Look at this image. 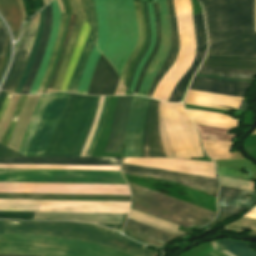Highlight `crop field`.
<instances>
[{
	"label": "crop field",
	"instance_id": "56",
	"mask_svg": "<svg viewBox=\"0 0 256 256\" xmlns=\"http://www.w3.org/2000/svg\"><path fill=\"white\" fill-rule=\"evenodd\" d=\"M246 217L256 218V206L252 208L246 215Z\"/></svg>",
	"mask_w": 256,
	"mask_h": 256
},
{
	"label": "crop field",
	"instance_id": "1",
	"mask_svg": "<svg viewBox=\"0 0 256 256\" xmlns=\"http://www.w3.org/2000/svg\"><path fill=\"white\" fill-rule=\"evenodd\" d=\"M209 37L207 55L256 56L254 0H202Z\"/></svg>",
	"mask_w": 256,
	"mask_h": 256
},
{
	"label": "crop field",
	"instance_id": "19",
	"mask_svg": "<svg viewBox=\"0 0 256 256\" xmlns=\"http://www.w3.org/2000/svg\"><path fill=\"white\" fill-rule=\"evenodd\" d=\"M256 202V193L229 187L220 188L218 206L219 211L236 215ZM247 207H239V206Z\"/></svg>",
	"mask_w": 256,
	"mask_h": 256
},
{
	"label": "crop field",
	"instance_id": "61",
	"mask_svg": "<svg viewBox=\"0 0 256 256\" xmlns=\"http://www.w3.org/2000/svg\"><path fill=\"white\" fill-rule=\"evenodd\" d=\"M0 256H14V255H0Z\"/></svg>",
	"mask_w": 256,
	"mask_h": 256
},
{
	"label": "crop field",
	"instance_id": "50",
	"mask_svg": "<svg viewBox=\"0 0 256 256\" xmlns=\"http://www.w3.org/2000/svg\"><path fill=\"white\" fill-rule=\"evenodd\" d=\"M2 157H25V156L0 144V158Z\"/></svg>",
	"mask_w": 256,
	"mask_h": 256
},
{
	"label": "crop field",
	"instance_id": "57",
	"mask_svg": "<svg viewBox=\"0 0 256 256\" xmlns=\"http://www.w3.org/2000/svg\"><path fill=\"white\" fill-rule=\"evenodd\" d=\"M21 97H22V96H20V98H19L18 104H17L16 109H15V111H14V114H13V116H12L11 122H10L9 127H8V129H7L6 133H5V135H4L3 139H2V141H1V144L3 143L5 137H6L7 133H8V130H9V128H10V125H11V123H12V120H13V118H14V115H15V113H16V110H17V108H18V105H19V102H20V100H21Z\"/></svg>",
	"mask_w": 256,
	"mask_h": 256
},
{
	"label": "crop field",
	"instance_id": "23",
	"mask_svg": "<svg viewBox=\"0 0 256 256\" xmlns=\"http://www.w3.org/2000/svg\"><path fill=\"white\" fill-rule=\"evenodd\" d=\"M50 28H51V4L46 7L45 25H44V29H43L42 38L40 40L39 49L36 54L35 60L33 62L29 77H28L20 94H28L30 91L33 80L35 78V75L37 73V70H38L41 60H42V56H43V53H44V50H45V47H46V44L48 41Z\"/></svg>",
	"mask_w": 256,
	"mask_h": 256
},
{
	"label": "crop field",
	"instance_id": "59",
	"mask_svg": "<svg viewBox=\"0 0 256 256\" xmlns=\"http://www.w3.org/2000/svg\"><path fill=\"white\" fill-rule=\"evenodd\" d=\"M5 94H6V93H4V92H0V107H1V105H2V102H3V99H4V97H5Z\"/></svg>",
	"mask_w": 256,
	"mask_h": 256
},
{
	"label": "crop field",
	"instance_id": "6",
	"mask_svg": "<svg viewBox=\"0 0 256 256\" xmlns=\"http://www.w3.org/2000/svg\"><path fill=\"white\" fill-rule=\"evenodd\" d=\"M133 195L132 208L173 222L183 227L203 226L216 213L128 183Z\"/></svg>",
	"mask_w": 256,
	"mask_h": 256
},
{
	"label": "crop field",
	"instance_id": "35",
	"mask_svg": "<svg viewBox=\"0 0 256 256\" xmlns=\"http://www.w3.org/2000/svg\"><path fill=\"white\" fill-rule=\"evenodd\" d=\"M219 248H225L236 256H256V252L249 249V243L231 240H217Z\"/></svg>",
	"mask_w": 256,
	"mask_h": 256
},
{
	"label": "crop field",
	"instance_id": "13",
	"mask_svg": "<svg viewBox=\"0 0 256 256\" xmlns=\"http://www.w3.org/2000/svg\"><path fill=\"white\" fill-rule=\"evenodd\" d=\"M161 25V43L158 52L155 54L149 65L142 84L137 94L146 95L156 73L160 69L170 48L169 18L166 0H158Z\"/></svg>",
	"mask_w": 256,
	"mask_h": 256
},
{
	"label": "crop field",
	"instance_id": "58",
	"mask_svg": "<svg viewBox=\"0 0 256 256\" xmlns=\"http://www.w3.org/2000/svg\"><path fill=\"white\" fill-rule=\"evenodd\" d=\"M151 100V99H150ZM149 100V103H150ZM149 103H148V107H149ZM148 107H147V111H146V115H145V119H144V127H143V139H142V157H143V141H144V133H145V125H146V119H147V112H148Z\"/></svg>",
	"mask_w": 256,
	"mask_h": 256
},
{
	"label": "crop field",
	"instance_id": "4",
	"mask_svg": "<svg viewBox=\"0 0 256 256\" xmlns=\"http://www.w3.org/2000/svg\"><path fill=\"white\" fill-rule=\"evenodd\" d=\"M0 254L34 256H137L113 248L50 236L0 234Z\"/></svg>",
	"mask_w": 256,
	"mask_h": 256
},
{
	"label": "crop field",
	"instance_id": "2",
	"mask_svg": "<svg viewBox=\"0 0 256 256\" xmlns=\"http://www.w3.org/2000/svg\"><path fill=\"white\" fill-rule=\"evenodd\" d=\"M100 96L69 94L44 156H79L94 121Z\"/></svg>",
	"mask_w": 256,
	"mask_h": 256
},
{
	"label": "crop field",
	"instance_id": "39",
	"mask_svg": "<svg viewBox=\"0 0 256 256\" xmlns=\"http://www.w3.org/2000/svg\"><path fill=\"white\" fill-rule=\"evenodd\" d=\"M152 5H153L154 17H155L156 43H155V47H154V50H153L152 54L147 59L145 65H144V67H143V69L141 71V74H140L137 86H136V88L134 90V93H137L138 88H139V86L141 84L142 78L144 76V73H145V71H146V69H147L151 59L153 58L154 54L157 52L158 47H159V43H160V26H159L158 7H157V3H152Z\"/></svg>",
	"mask_w": 256,
	"mask_h": 256
},
{
	"label": "crop field",
	"instance_id": "9",
	"mask_svg": "<svg viewBox=\"0 0 256 256\" xmlns=\"http://www.w3.org/2000/svg\"><path fill=\"white\" fill-rule=\"evenodd\" d=\"M33 212H0V219H32ZM124 214H102V213H56V212H34L33 219L49 220H74L88 223L120 224ZM124 215L121 225L98 224L113 229H121L126 219Z\"/></svg>",
	"mask_w": 256,
	"mask_h": 256
},
{
	"label": "crop field",
	"instance_id": "8",
	"mask_svg": "<svg viewBox=\"0 0 256 256\" xmlns=\"http://www.w3.org/2000/svg\"><path fill=\"white\" fill-rule=\"evenodd\" d=\"M126 181L217 213L216 198L176 183L124 175Z\"/></svg>",
	"mask_w": 256,
	"mask_h": 256
},
{
	"label": "crop field",
	"instance_id": "33",
	"mask_svg": "<svg viewBox=\"0 0 256 256\" xmlns=\"http://www.w3.org/2000/svg\"><path fill=\"white\" fill-rule=\"evenodd\" d=\"M95 7L98 20V40L96 45L98 46L100 52H102L108 34V24L104 0H95Z\"/></svg>",
	"mask_w": 256,
	"mask_h": 256
},
{
	"label": "crop field",
	"instance_id": "54",
	"mask_svg": "<svg viewBox=\"0 0 256 256\" xmlns=\"http://www.w3.org/2000/svg\"><path fill=\"white\" fill-rule=\"evenodd\" d=\"M10 95H11V94H9V93L6 94L5 100H4L3 105H2V108H1V110H0V119H1V117H2V115H3V113H4L5 109H6V107H7V105H8Z\"/></svg>",
	"mask_w": 256,
	"mask_h": 256
},
{
	"label": "crop field",
	"instance_id": "31",
	"mask_svg": "<svg viewBox=\"0 0 256 256\" xmlns=\"http://www.w3.org/2000/svg\"><path fill=\"white\" fill-rule=\"evenodd\" d=\"M128 217L132 218L134 220L143 222L145 224L154 226L156 228L162 229L164 231L173 233V234L178 235V236H181V235L185 234L183 232H180V231L176 230L177 225H174V224H171L169 222L154 218L152 216L140 213V212L132 210V209L130 210V213H129Z\"/></svg>",
	"mask_w": 256,
	"mask_h": 256
},
{
	"label": "crop field",
	"instance_id": "21",
	"mask_svg": "<svg viewBox=\"0 0 256 256\" xmlns=\"http://www.w3.org/2000/svg\"><path fill=\"white\" fill-rule=\"evenodd\" d=\"M0 199L130 201V196L0 194Z\"/></svg>",
	"mask_w": 256,
	"mask_h": 256
},
{
	"label": "crop field",
	"instance_id": "38",
	"mask_svg": "<svg viewBox=\"0 0 256 256\" xmlns=\"http://www.w3.org/2000/svg\"><path fill=\"white\" fill-rule=\"evenodd\" d=\"M75 15L76 14H71V16H70V20H69V24H68V28H67V32H66V36H65V40H64V44H63L62 50L60 52L59 59H58V62H57L54 74H53V76L51 78V81H50V83H49V85L47 87V91L46 92H50L51 91V89L53 87V84L55 82V79H56V77L58 75V72H59V69H60V66H61L64 54H65V51H66V48H67V44L69 42L70 35L72 33Z\"/></svg>",
	"mask_w": 256,
	"mask_h": 256
},
{
	"label": "crop field",
	"instance_id": "51",
	"mask_svg": "<svg viewBox=\"0 0 256 256\" xmlns=\"http://www.w3.org/2000/svg\"><path fill=\"white\" fill-rule=\"evenodd\" d=\"M144 5H145V12H146V18H147V23H148V28H149V20H148V10H147V5H146V2L144 1ZM149 41H150V30H149V40H148V43H147V47L145 49V51L148 49V46H149ZM145 51L143 52V54L141 55L140 59L138 60V62L136 63L135 67H134V70H133V73H132V76L130 78V81H129V85H130V82L132 80V77H133V74H134V71L137 67V65L139 64V62L141 61ZM129 85H128V88H129Z\"/></svg>",
	"mask_w": 256,
	"mask_h": 256
},
{
	"label": "crop field",
	"instance_id": "18",
	"mask_svg": "<svg viewBox=\"0 0 256 256\" xmlns=\"http://www.w3.org/2000/svg\"><path fill=\"white\" fill-rule=\"evenodd\" d=\"M250 86L251 84L249 83L213 79L196 75L189 88L224 95L244 97Z\"/></svg>",
	"mask_w": 256,
	"mask_h": 256
},
{
	"label": "crop field",
	"instance_id": "26",
	"mask_svg": "<svg viewBox=\"0 0 256 256\" xmlns=\"http://www.w3.org/2000/svg\"><path fill=\"white\" fill-rule=\"evenodd\" d=\"M0 12L9 24L16 40L21 26V10L17 0H0Z\"/></svg>",
	"mask_w": 256,
	"mask_h": 256
},
{
	"label": "crop field",
	"instance_id": "32",
	"mask_svg": "<svg viewBox=\"0 0 256 256\" xmlns=\"http://www.w3.org/2000/svg\"><path fill=\"white\" fill-rule=\"evenodd\" d=\"M158 101L155 102L150 127V157H166L163 151L157 118Z\"/></svg>",
	"mask_w": 256,
	"mask_h": 256
},
{
	"label": "crop field",
	"instance_id": "10",
	"mask_svg": "<svg viewBox=\"0 0 256 256\" xmlns=\"http://www.w3.org/2000/svg\"><path fill=\"white\" fill-rule=\"evenodd\" d=\"M38 18L39 13L25 23L21 41L16 43L15 57L2 90L15 92L33 46Z\"/></svg>",
	"mask_w": 256,
	"mask_h": 256
},
{
	"label": "crop field",
	"instance_id": "34",
	"mask_svg": "<svg viewBox=\"0 0 256 256\" xmlns=\"http://www.w3.org/2000/svg\"><path fill=\"white\" fill-rule=\"evenodd\" d=\"M100 52L97 50L96 45L94 47V49L92 50L88 62L85 66L83 75H82V79L79 85V89H78V94H86L87 93V89H88V85H89V81L91 78V74L92 71L96 65V62L100 56Z\"/></svg>",
	"mask_w": 256,
	"mask_h": 256
},
{
	"label": "crop field",
	"instance_id": "36",
	"mask_svg": "<svg viewBox=\"0 0 256 256\" xmlns=\"http://www.w3.org/2000/svg\"><path fill=\"white\" fill-rule=\"evenodd\" d=\"M44 16H45V9L40 11L39 27H38L37 35H36V38H35L34 46H33L32 52L30 54L27 67H26V69L24 71V74H23V76L21 78V81H20V83L18 85V88H17L15 93H19L20 92V90H21V88H22V86H23V84H24V82H25V80H26V78H27V76L29 74L32 62L34 60L35 54H36L37 49H38L39 40L41 38L43 24H44Z\"/></svg>",
	"mask_w": 256,
	"mask_h": 256
},
{
	"label": "crop field",
	"instance_id": "30",
	"mask_svg": "<svg viewBox=\"0 0 256 256\" xmlns=\"http://www.w3.org/2000/svg\"><path fill=\"white\" fill-rule=\"evenodd\" d=\"M124 227L165 242H168L178 237L129 218L127 219Z\"/></svg>",
	"mask_w": 256,
	"mask_h": 256
},
{
	"label": "crop field",
	"instance_id": "40",
	"mask_svg": "<svg viewBox=\"0 0 256 256\" xmlns=\"http://www.w3.org/2000/svg\"><path fill=\"white\" fill-rule=\"evenodd\" d=\"M66 16H67V14H63V13H62L61 23H60V27H59V31H58L57 41H56V44H55V46H54V49H53V52H52V55H51V58H50V62H49V65H48L47 72H46V74H45V76H44V79H43V81H42V84H41V86H40V87H42V88L45 87V84H46L47 78H48V76H49V73H50V70H51V67H52L54 58H55V56H56V53H57L59 44H60V42H61V38H62L63 30H64V25H65V21H66Z\"/></svg>",
	"mask_w": 256,
	"mask_h": 256
},
{
	"label": "crop field",
	"instance_id": "20",
	"mask_svg": "<svg viewBox=\"0 0 256 256\" xmlns=\"http://www.w3.org/2000/svg\"><path fill=\"white\" fill-rule=\"evenodd\" d=\"M168 2V8H169V17H170V32H171V48L169 51V54L162 65L161 69L159 70L158 74L156 75L153 84L147 94V97H151L153 91L155 90L159 80L164 76V74L170 69V67L175 62L179 48H180V42H179V34H178V27L177 22L175 18V10H174V2L173 0H167Z\"/></svg>",
	"mask_w": 256,
	"mask_h": 256
},
{
	"label": "crop field",
	"instance_id": "11",
	"mask_svg": "<svg viewBox=\"0 0 256 256\" xmlns=\"http://www.w3.org/2000/svg\"><path fill=\"white\" fill-rule=\"evenodd\" d=\"M122 172L172 180L195 189L216 192L217 179L122 163Z\"/></svg>",
	"mask_w": 256,
	"mask_h": 256
},
{
	"label": "crop field",
	"instance_id": "27",
	"mask_svg": "<svg viewBox=\"0 0 256 256\" xmlns=\"http://www.w3.org/2000/svg\"><path fill=\"white\" fill-rule=\"evenodd\" d=\"M95 45V35L93 33V31L91 30L87 41L85 43V46L82 50V53L80 55L79 61L77 63L76 69L74 71L72 80L70 82L69 88H68V92H77V88L80 82V78L84 69V66L87 62L88 56L91 52V50L93 49Z\"/></svg>",
	"mask_w": 256,
	"mask_h": 256
},
{
	"label": "crop field",
	"instance_id": "44",
	"mask_svg": "<svg viewBox=\"0 0 256 256\" xmlns=\"http://www.w3.org/2000/svg\"><path fill=\"white\" fill-rule=\"evenodd\" d=\"M85 6L88 22L97 35V20L94 8V0H85Z\"/></svg>",
	"mask_w": 256,
	"mask_h": 256
},
{
	"label": "crop field",
	"instance_id": "7",
	"mask_svg": "<svg viewBox=\"0 0 256 256\" xmlns=\"http://www.w3.org/2000/svg\"><path fill=\"white\" fill-rule=\"evenodd\" d=\"M0 193L130 195L127 185L0 183Z\"/></svg>",
	"mask_w": 256,
	"mask_h": 256
},
{
	"label": "crop field",
	"instance_id": "14",
	"mask_svg": "<svg viewBox=\"0 0 256 256\" xmlns=\"http://www.w3.org/2000/svg\"><path fill=\"white\" fill-rule=\"evenodd\" d=\"M121 160L122 158H115V157L2 158L0 159V164L120 166Z\"/></svg>",
	"mask_w": 256,
	"mask_h": 256
},
{
	"label": "crop field",
	"instance_id": "29",
	"mask_svg": "<svg viewBox=\"0 0 256 256\" xmlns=\"http://www.w3.org/2000/svg\"><path fill=\"white\" fill-rule=\"evenodd\" d=\"M135 3V11H136V17H137V24H138V31H139V41L135 47V49L133 50V52L131 53L123 71L122 74L120 76V78L123 80V82L125 83L128 71L133 63V61L135 60V58L137 57L140 49L142 48L144 41H145V31H144V23H143V16H142V11H141V4H140V0H134Z\"/></svg>",
	"mask_w": 256,
	"mask_h": 256
},
{
	"label": "crop field",
	"instance_id": "52",
	"mask_svg": "<svg viewBox=\"0 0 256 256\" xmlns=\"http://www.w3.org/2000/svg\"><path fill=\"white\" fill-rule=\"evenodd\" d=\"M6 35H7V31H6L5 27L2 25V23L0 22V56L2 53Z\"/></svg>",
	"mask_w": 256,
	"mask_h": 256
},
{
	"label": "crop field",
	"instance_id": "12",
	"mask_svg": "<svg viewBox=\"0 0 256 256\" xmlns=\"http://www.w3.org/2000/svg\"><path fill=\"white\" fill-rule=\"evenodd\" d=\"M147 103V98H133L125 133L123 157H141L142 126Z\"/></svg>",
	"mask_w": 256,
	"mask_h": 256
},
{
	"label": "crop field",
	"instance_id": "37",
	"mask_svg": "<svg viewBox=\"0 0 256 256\" xmlns=\"http://www.w3.org/2000/svg\"><path fill=\"white\" fill-rule=\"evenodd\" d=\"M147 5H148V10H149V19H150V30H151V42H150V47L149 49L147 50L146 54L144 55L142 61L140 62L135 74H134V77H133V80H132V83H131V86L129 88V90L133 91V88L135 86V83L137 81V78L139 76V72L141 70V68L143 67L146 59L148 58V56L150 55L151 51H152V48L154 46V43H155V30H154V18H153V9H152V5L151 3H148L147 2Z\"/></svg>",
	"mask_w": 256,
	"mask_h": 256
},
{
	"label": "crop field",
	"instance_id": "49",
	"mask_svg": "<svg viewBox=\"0 0 256 256\" xmlns=\"http://www.w3.org/2000/svg\"><path fill=\"white\" fill-rule=\"evenodd\" d=\"M26 97H27V96H23V97H22V100H21V102H20L19 108H18V110H17V113H16L15 118H14V120H13V123H12V125H11V128H10V130H9V133H8V135H7V138H6L5 142H4V145H5V146H8V143H9V141H10V138H11L12 132H13V130H14L16 121H17V119H18L19 113H20V111H21L22 105H23V103H24Z\"/></svg>",
	"mask_w": 256,
	"mask_h": 256
},
{
	"label": "crop field",
	"instance_id": "45",
	"mask_svg": "<svg viewBox=\"0 0 256 256\" xmlns=\"http://www.w3.org/2000/svg\"><path fill=\"white\" fill-rule=\"evenodd\" d=\"M154 101L155 100H151V104H150L149 112H148L145 141H144V157H149V127H150V121H151V115H152Z\"/></svg>",
	"mask_w": 256,
	"mask_h": 256
},
{
	"label": "crop field",
	"instance_id": "60",
	"mask_svg": "<svg viewBox=\"0 0 256 256\" xmlns=\"http://www.w3.org/2000/svg\"><path fill=\"white\" fill-rule=\"evenodd\" d=\"M198 75H200V74H198ZM203 76L213 77V78H220V79H227V78L214 77V76H208V75H203ZM229 80H233V79H229ZM237 81H245V80H237ZM247 82H251V81H247ZM251 83H253V82H251Z\"/></svg>",
	"mask_w": 256,
	"mask_h": 256
},
{
	"label": "crop field",
	"instance_id": "41",
	"mask_svg": "<svg viewBox=\"0 0 256 256\" xmlns=\"http://www.w3.org/2000/svg\"><path fill=\"white\" fill-rule=\"evenodd\" d=\"M158 117H159V128H160V133H161V138H162L165 154L167 157L175 158L174 151L172 149V146H171L168 136L166 134L165 128L163 126V122H162V118H161V114H160V106L158 108Z\"/></svg>",
	"mask_w": 256,
	"mask_h": 256
},
{
	"label": "crop field",
	"instance_id": "22",
	"mask_svg": "<svg viewBox=\"0 0 256 256\" xmlns=\"http://www.w3.org/2000/svg\"><path fill=\"white\" fill-rule=\"evenodd\" d=\"M51 4H52V16H53L52 29H51L48 45L46 47L42 63L40 65V68L38 70V73L36 75L35 81L33 83V86L31 88V91L29 94L37 93L38 87L43 79V76H44V73H45V70H46V67H47L53 46H54V43L56 41L57 31H58V27H59V23H60L61 12L59 11L56 0H53L51 2Z\"/></svg>",
	"mask_w": 256,
	"mask_h": 256
},
{
	"label": "crop field",
	"instance_id": "28",
	"mask_svg": "<svg viewBox=\"0 0 256 256\" xmlns=\"http://www.w3.org/2000/svg\"><path fill=\"white\" fill-rule=\"evenodd\" d=\"M198 73L229 77L233 79H245V80H251V81H255L254 76L256 75V71L236 70V69H228V68L213 67V66H203V65L199 69Z\"/></svg>",
	"mask_w": 256,
	"mask_h": 256
},
{
	"label": "crop field",
	"instance_id": "15",
	"mask_svg": "<svg viewBox=\"0 0 256 256\" xmlns=\"http://www.w3.org/2000/svg\"><path fill=\"white\" fill-rule=\"evenodd\" d=\"M132 97L133 95L118 97L113 116L112 128L105 151L121 153Z\"/></svg>",
	"mask_w": 256,
	"mask_h": 256
},
{
	"label": "crop field",
	"instance_id": "25",
	"mask_svg": "<svg viewBox=\"0 0 256 256\" xmlns=\"http://www.w3.org/2000/svg\"><path fill=\"white\" fill-rule=\"evenodd\" d=\"M70 4H71L72 12L77 13V16H76V20H75V24H74L73 33H72V36H71V39H70L60 72H59V75L57 77V80H56V83L54 85L52 92L58 91L61 86L64 74L66 72V69H67V66H68L72 51H73V48L75 46L80 28H81L83 20H84L83 16H81L77 11V6L75 4V0H70Z\"/></svg>",
	"mask_w": 256,
	"mask_h": 256
},
{
	"label": "crop field",
	"instance_id": "43",
	"mask_svg": "<svg viewBox=\"0 0 256 256\" xmlns=\"http://www.w3.org/2000/svg\"><path fill=\"white\" fill-rule=\"evenodd\" d=\"M217 170H218V174L221 176L253 181L252 177L248 178L247 175L243 174L242 169L217 167Z\"/></svg>",
	"mask_w": 256,
	"mask_h": 256
},
{
	"label": "crop field",
	"instance_id": "42",
	"mask_svg": "<svg viewBox=\"0 0 256 256\" xmlns=\"http://www.w3.org/2000/svg\"><path fill=\"white\" fill-rule=\"evenodd\" d=\"M230 227H238V228H246L251 229L247 235H255L256 236V219L243 217L236 221L235 223L229 225Z\"/></svg>",
	"mask_w": 256,
	"mask_h": 256
},
{
	"label": "crop field",
	"instance_id": "53",
	"mask_svg": "<svg viewBox=\"0 0 256 256\" xmlns=\"http://www.w3.org/2000/svg\"><path fill=\"white\" fill-rule=\"evenodd\" d=\"M230 217H232V216H230V215H228V214H225V213L219 212L218 217H217L213 222H211L210 224H208L207 226H208V227H211V226H213V225H215V224H217V223H219V222H221V221H223V220H225V219H227V218H230Z\"/></svg>",
	"mask_w": 256,
	"mask_h": 256
},
{
	"label": "crop field",
	"instance_id": "24",
	"mask_svg": "<svg viewBox=\"0 0 256 256\" xmlns=\"http://www.w3.org/2000/svg\"><path fill=\"white\" fill-rule=\"evenodd\" d=\"M203 65L256 70V57L207 56Z\"/></svg>",
	"mask_w": 256,
	"mask_h": 256
},
{
	"label": "crop field",
	"instance_id": "17",
	"mask_svg": "<svg viewBox=\"0 0 256 256\" xmlns=\"http://www.w3.org/2000/svg\"><path fill=\"white\" fill-rule=\"evenodd\" d=\"M119 77L102 54L97 62L87 94L114 95Z\"/></svg>",
	"mask_w": 256,
	"mask_h": 256
},
{
	"label": "crop field",
	"instance_id": "16",
	"mask_svg": "<svg viewBox=\"0 0 256 256\" xmlns=\"http://www.w3.org/2000/svg\"><path fill=\"white\" fill-rule=\"evenodd\" d=\"M194 25H195V34H196V57L189 68V70L184 74V76L178 81L175 85L168 101L169 102H180L182 94L185 90V87L192 75L196 71L206 48V36L203 23L202 14L193 15Z\"/></svg>",
	"mask_w": 256,
	"mask_h": 256
},
{
	"label": "crop field",
	"instance_id": "48",
	"mask_svg": "<svg viewBox=\"0 0 256 256\" xmlns=\"http://www.w3.org/2000/svg\"><path fill=\"white\" fill-rule=\"evenodd\" d=\"M108 97H109V96H105V99H104V105H103V109H102V112H101V115H100V119H99V122H98V125H97V128H96V131H95L94 137H93V139H92V142H91L90 148H89L88 153H87V155H86V156H90V155H91V153H92V150H93V147H94V144H95V141H96V138H97V135H98L99 129H100V125H101V122H102V119H103V115H104V112H105V109H106V105H107Z\"/></svg>",
	"mask_w": 256,
	"mask_h": 256
},
{
	"label": "crop field",
	"instance_id": "55",
	"mask_svg": "<svg viewBox=\"0 0 256 256\" xmlns=\"http://www.w3.org/2000/svg\"><path fill=\"white\" fill-rule=\"evenodd\" d=\"M79 8L81 10V12L84 14L85 18H86V12H85V6H84V0H77ZM87 19V18H86Z\"/></svg>",
	"mask_w": 256,
	"mask_h": 256
},
{
	"label": "crop field",
	"instance_id": "3",
	"mask_svg": "<svg viewBox=\"0 0 256 256\" xmlns=\"http://www.w3.org/2000/svg\"><path fill=\"white\" fill-rule=\"evenodd\" d=\"M0 228H16V229H38V230H51L57 232H63L68 234H74L79 236L91 237L96 239L108 240L116 242L122 245L133 247L139 250H143L142 245L118 234L117 232L101 227L75 224L69 222H26V221H11V220H0ZM51 231H37V230H15V229H0V233H15V234H38V235H50L61 238H67L72 240H78L83 242H89L94 244L105 245L127 251L140 256H153L150 251L143 250L139 251L126 246H122L116 243L96 240L91 238L79 237L74 235H68L63 233L51 232Z\"/></svg>",
	"mask_w": 256,
	"mask_h": 256
},
{
	"label": "crop field",
	"instance_id": "5",
	"mask_svg": "<svg viewBox=\"0 0 256 256\" xmlns=\"http://www.w3.org/2000/svg\"><path fill=\"white\" fill-rule=\"evenodd\" d=\"M109 38L102 54L120 76L138 40L133 0H105Z\"/></svg>",
	"mask_w": 256,
	"mask_h": 256
},
{
	"label": "crop field",
	"instance_id": "46",
	"mask_svg": "<svg viewBox=\"0 0 256 256\" xmlns=\"http://www.w3.org/2000/svg\"><path fill=\"white\" fill-rule=\"evenodd\" d=\"M9 52H10V40H9L8 35H7L6 43H5L4 50H3V53H2V57H1V60H0V80L2 78V75L4 73V70H5L7 62H8Z\"/></svg>",
	"mask_w": 256,
	"mask_h": 256
},
{
	"label": "crop field",
	"instance_id": "47",
	"mask_svg": "<svg viewBox=\"0 0 256 256\" xmlns=\"http://www.w3.org/2000/svg\"><path fill=\"white\" fill-rule=\"evenodd\" d=\"M0 211H39V206L0 205Z\"/></svg>",
	"mask_w": 256,
	"mask_h": 256
}]
</instances>
